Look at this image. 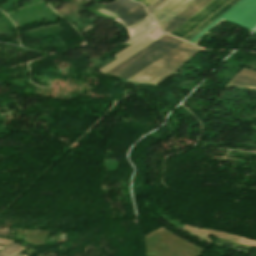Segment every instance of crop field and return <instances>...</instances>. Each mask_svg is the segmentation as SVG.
<instances>
[{
	"mask_svg": "<svg viewBox=\"0 0 256 256\" xmlns=\"http://www.w3.org/2000/svg\"><path fill=\"white\" fill-rule=\"evenodd\" d=\"M199 47L186 43L135 74L128 81L156 85L165 79L199 51Z\"/></svg>",
	"mask_w": 256,
	"mask_h": 256,
	"instance_id": "8a807250",
	"label": "crop field"
},
{
	"mask_svg": "<svg viewBox=\"0 0 256 256\" xmlns=\"http://www.w3.org/2000/svg\"><path fill=\"white\" fill-rule=\"evenodd\" d=\"M182 43L183 42L179 40L165 35L148 47H144L145 49L141 50L131 58L127 59L117 67L113 68L108 73L127 80L135 73L142 70L143 68L156 61L163 55L167 54Z\"/></svg>",
	"mask_w": 256,
	"mask_h": 256,
	"instance_id": "ac0d7876",
	"label": "crop field"
},
{
	"mask_svg": "<svg viewBox=\"0 0 256 256\" xmlns=\"http://www.w3.org/2000/svg\"><path fill=\"white\" fill-rule=\"evenodd\" d=\"M222 19L248 28L250 30L256 25V0H241L206 29L195 36L190 42L196 41Z\"/></svg>",
	"mask_w": 256,
	"mask_h": 256,
	"instance_id": "34b2d1b8",
	"label": "crop field"
},
{
	"mask_svg": "<svg viewBox=\"0 0 256 256\" xmlns=\"http://www.w3.org/2000/svg\"><path fill=\"white\" fill-rule=\"evenodd\" d=\"M228 1L229 0H213L197 14H195L191 19H189L186 23H184L181 27L171 33V35L182 39Z\"/></svg>",
	"mask_w": 256,
	"mask_h": 256,
	"instance_id": "412701ff",
	"label": "crop field"
},
{
	"mask_svg": "<svg viewBox=\"0 0 256 256\" xmlns=\"http://www.w3.org/2000/svg\"><path fill=\"white\" fill-rule=\"evenodd\" d=\"M194 0H168L153 13L150 14L152 21L159 28L187 7Z\"/></svg>",
	"mask_w": 256,
	"mask_h": 256,
	"instance_id": "f4fd0767",
	"label": "crop field"
},
{
	"mask_svg": "<svg viewBox=\"0 0 256 256\" xmlns=\"http://www.w3.org/2000/svg\"><path fill=\"white\" fill-rule=\"evenodd\" d=\"M211 0H195L192 4H190L186 9H184L181 13H179L176 17H174L171 21L165 24L160 29L164 32L170 34L177 27H179L182 23H184L187 19H189L192 15H194L197 11H199L202 7H204Z\"/></svg>",
	"mask_w": 256,
	"mask_h": 256,
	"instance_id": "dd49c442",
	"label": "crop field"
},
{
	"mask_svg": "<svg viewBox=\"0 0 256 256\" xmlns=\"http://www.w3.org/2000/svg\"><path fill=\"white\" fill-rule=\"evenodd\" d=\"M244 87L256 89V72L243 68L226 88Z\"/></svg>",
	"mask_w": 256,
	"mask_h": 256,
	"instance_id": "e52e79f7",
	"label": "crop field"
},
{
	"mask_svg": "<svg viewBox=\"0 0 256 256\" xmlns=\"http://www.w3.org/2000/svg\"><path fill=\"white\" fill-rule=\"evenodd\" d=\"M138 3L132 2L131 0H118L106 7H104L103 9H106L108 11L114 12L116 14H123L124 12L128 11L129 9H131L132 7L136 6ZM97 10L99 12L105 13L107 15L113 16L115 18H117L119 15H116L114 13L108 12L106 10Z\"/></svg>",
	"mask_w": 256,
	"mask_h": 256,
	"instance_id": "d8731c3e",
	"label": "crop field"
},
{
	"mask_svg": "<svg viewBox=\"0 0 256 256\" xmlns=\"http://www.w3.org/2000/svg\"><path fill=\"white\" fill-rule=\"evenodd\" d=\"M145 15H147V13L143 5L139 4L115 20L127 28Z\"/></svg>",
	"mask_w": 256,
	"mask_h": 256,
	"instance_id": "5a996713",
	"label": "crop field"
},
{
	"mask_svg": "<svg viewBox=\"0 0 256 256\" xmlns=\"http://www.w3.org/2000/svg\"><path fill=\"white\" fill-rule=\"evenodd\" d=\"M238 1L239 0H231L227 5H225L222 9H220L217 13H215L212 17H210L207 21L200 25L196 30H194L191 34L184 38V40L189 41L190 39H192L195 35H197L200 31H202L205 27H207L210 23H212L215 19H217L220 15H222Z\"/></svg>",
	"mask_w": 256,
	"mask_h": 256,
	"instance_id": "3316defc",
	"label": "crop field"
},
{
	"mask_svg": "<svg viewBox=\"0 0 256 256\" xmlns=\"http://www.w3.org/2000/svg\"><path fill=\"white\" fill-rule=\"evenodd\" d=\"M150 24L152 23L147 15L141 20H139L138 22H136L135 24H133L132 26H130L129 28H127L130 38L136 35L137 33H139L140 31H142L144 28H146Z\"/></svg>",
	"mask_w": 256,
	"mask_h": 256,
	"instance_id": "28ad6ade",
	"label": "crop field"
},
{
	"mask_svg": "<svg viewBox=\"0 0 256 256\" xmlns=\"http://www.w3.org/2000/svg\"><path fill=\"white\" fill-rule=\"evenodd\" d=\"M24 249L25 248L20 247L16 244H11L0 251V256H14L15 254L21 252Z\"/></svg>",
	"mask_w": 256,
	"mask_h": 256,
	"instance_id": "d1516ede",
	"label": "crop field"
},
{
	"mask_svg": "<svg viewBox=\"0 0 256 256\" xmlns=\"http://www.w3.org/2000/svg\"><path fill=\"white\" fill-rule=\"evenodd\" d=\"M165 0H155L149 6L146 7L148 13L152 12L155 8H157L160 4H162Z\"/></svg>",
	"mask_w": 256,
	"mask_h": 256,
	"instance_id": "22f410ed",
	"label": "crop field"
},
{
	"mask_svg": "<svg viewBox=\"0 0 256 256\" xmlns=\"http://www.w3.org/2000/svg\"><path fill=\"white\" fill-rule=\"evenodd\" d=\"M240 243L248 245V246L256 247V241H252V240L242 238Z\"/></svg>",
	"mask_w": 256,
	"mask_h": 256,
	"instance_id": "cbeb9de0",
	"label": "crop field"
},
{
	"mask_svg": "<svg viewBox=\"0 0 256 256\" xmlns=\"http://www.w3.org/2000/svg\"><path fill=\"white\" fill-rule=\"evenodd\" d=\"M12 242H16V241H15V240L1 239V238H0V244H1V245H8V244H10V243H12Z\"/></svg>",
	"mask_w": 256,
	"mask_h": 256,
	"instance_id": "5142ce71",
	"label": "crop field"
},
{
	"mask_svg": "<svg viewBox=\"0 0 256 256\" xmlns=\"http://www.w3.org/2000/svg\"><path fill=\"white\" fill-rule=\"evenodd\" d=\"M137 1L142 2L144 4V6L146 7L147 5H149L154 0H137Z\"/></svg>",
	"mask_w": 256,
	"mask_h": 256,
	"instance_id": "d9b57169",
	"label": "crop field"
},
{
	"mask_svg": "<svg viewBox=\"0 0 256 256\" xmlns=\"http://www.w3.org/2000/svg\"><path fill=\"white\" fill-rule=\"evenodd\" d=\"M9 230H0V236L6 237Z\"/></svg>",
	"mask_w": 256,
	"mask_h": 256,
	"instance_id": "733c2abd",
	"label": "crop field"
},
{
	"mask_svg": "<svg viewBox=\"0 0 256 256\" xmlns=\"http://www.w3.org/2000/svg\"><path fill=\"white\" fill-rule=\"evenodd\" d=\"M3 248H4V247H1V246H0V250L3 249Z\"/></svg>",
	"mask_w": 256,
	"mask_h": 256,
	"instance_id": "4a817a6b",
	"label": "crop field"
},
{
	"mask_svg": "<svg viewBox=\"0 0 256 256\" xmlns=\"http://www.w3.org/2000/svg\"><path fill=\"white\" fill-rule=\"evenodd\" d=\"M255 33H256V30H255Z\"/></svg>",
	"mask_w": 256,
	"mask_h": 256,
	"instance_id": "bc2a9ffb",
	"label": "crop field"
},
{
	"mask_svg": "<svg viewBox=\"0 0 256 256\" xmlns=\"http://www.w3.org/2000/svg\"><path fill=\"white\" fill-rule=\"evenodd\" d=\"M22 256H24V255H22Z\"/></svg>",
	"mask_w": 256,
	"mask_h": 256,
	"instance_id": "214f88e0",
	"label": "crop field"
}]
</instances>
